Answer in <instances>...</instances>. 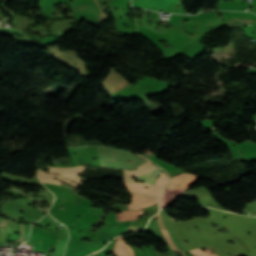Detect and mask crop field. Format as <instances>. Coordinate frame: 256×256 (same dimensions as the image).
Wrapping results in <instances>:
<instances>
[{
  "label": "crop field",
  "instance_id": "8a807250",
  "mask_svg": "<svg viewBox=\"0 0 256 256\" xmlns=\"http://www.w3.org/2000/svg\"><path fill=\"white\" fill-rule=\"evenodd\" d=\"M160 171V168L153 166L151 162L148 161L147 163L139 166L137 171L125 170L124 182H134L132 180L133 177H137V179L144 180V182L152 184Z\"/></svg>",
  "mask_w": 256,
  "mask_h": 256
},
{
  "label": "crop field",
  "instance_id": "ac0d7876",
  "mask_svg": "<svg viewBox=\"0 0 256 256\" xmlns=\"http://www.w3.org/2000/svg\"><path fill=\"white\" fill-rule=\"evenodd\" d=\"M50 169L49 171L46 172H50V173H58V174H62V175H53V174H44V172L39 169L38 170V174H42V175H50V176H58V177H64V178H68L74 181L79 182L80 184H82L81 182V177H78V173H82L84 167L81 166H77V167H73V168H69V169H61V168H51V167H46V169Z\"/></svg>",
  "mask_w": 256,
  "mask_h": 256
},
{
  "label": "crop field",
  "instance_id": "34b2d1b8",
  "mask_svg": "<svg viewBox=\"0 0 256 256\" xmlns=\"http://www.w3.org/2000/svg\"><path fill=\"white\" fill-rule=\"evenodd\" d=\"M158 198L138 194V193H133L132 196V203L131 208L132 209H140L142 207H148L154 203H157Z\"/></svg>",
  "mask_w": 256,
  "mask_h": 256
},
{
  "label": "crop field",
  "instance_id": "412701ff",
  "mask_svg": "<svg viewBox=\"0 0 256 256\" xmlns=\"http://www.w3.org/2000/svg\"><path fill=\"white\" fill-rule=\"evenodd\" d=\"M123 212H143L141 211H123ZM142 213H120L118 214V221L135 220Z\"/></svg>",
  "mask_w": 256,
  "mask_h": 256
},
{
  "label": "crop field",
  "instance_id": "f4fd0767",
  "mask_svg": "<svg viewBox=\"0 0 256 256\" xmlns=\"http://www.w3.org/2000/svg\"><path fill=\"white\" fill-rule=\"evenodd\" d=\"M38 176H39L41 182H51V183L60 184V182H58V181H53V180H55L54 178H58V177H50V176L44 177V176H40V175H38ZM58 180L59 181H63V182H65V183H67V184H69L71 186H74V187L77 186L76 183H72L69 180H64L62 178H58Z\"/></svg>",
  "mask_w": 256,
  "mask_h": 256
}]
</instances>
